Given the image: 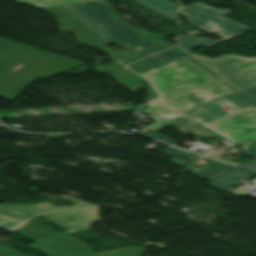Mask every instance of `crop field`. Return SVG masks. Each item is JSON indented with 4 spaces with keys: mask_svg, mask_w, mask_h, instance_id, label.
Instances as JSON below:
<instances>
[{
    "mask_svg": "<svg viewBox=\"0 0 256 256\" xmlns=\"http://www.w3.org/2000/svg\"><path fill=\"white\" fill-rule=\"evenodd\" d=\"M43 10L57 13L62 18L59 20L62 28L76 33L85 43L96 46L115 60L154 46L119 27L105 10L101 0ZM102 43H116L126 50L114 52L99 45Z\"/></svg>",
    "mask_w": 256,
    "mask_h": 256,
    "instance_id": "8a807250",
    "label": "crop field"
},
{
    "mask_svg": "<svg viewBox=\"0 0 256 256\" xmlns=\"http://www.w3.org/2000/svg\"><path fill=\"white\" fill-rule=\"evenodd\" d=\"M74 206L59 208L44 202L38 205L0 204V227L12 231L28 220L42 214L68 233L91 228L89 222L101 221L96 205L68 196Z\"/></svg>",
    "mask_w": 256,
    "mask_h": 256,
    "instance_id": "ac0d7876",
    "label": "crop field"
},
{
    "mask_svg": "<svg viewBox=\"0 0 256 256\" xmlns=\"http://www.w3.org/2000/svg\"><path fill=\"white\" fill-rule=\"evenodd\" d=\"M15 232L33 240L36 238L51 236L52 231L32 221L28 222ZM60 256H86L94 254L89 246L64 230L55 232ZM27 247L34 248L47 256H57L53 237L34 241Z\"/></svg>",
    "mask_w": 256,
    "mask_h": 256,
    "instance_id": "34b2d1b8",
    "label": "crop field"
},
{
    "mask_svg": "<svg viewBox=\"0 0 256 256\" xmlns=\"http://www.w3.org/2000/svg\"><path fill=\"white\" fill-rule=\"evenodd\" d=\"M227 11L211 8L197 2L181 8L178 13L184 14L190 23L209 30L225 39L251 30L247 26L221 17Z\"/></svg>",
    "mask_w": 256,
    "mask_h": 256,
    "instance_id": "412701ff",
    "label": "crop field"
},
{
    "mask_svg": "<svg viewBox=\"0 0 256 256\" xmlns=\"http://www.w3.org/2000/svg\"><path fill=\"white\" fill-rule=\"evenodd\" d=\"M208 126L236 142L251 138L256 136V107L234 112Z\"/></svg>",
    "mask_w": 256,
    "mask_h": 256,
    "instance_id": "f4fd0767",
    "label": "crop field"
},
{
    "mask_svg": "<svg viewBox=\"0 0 256 256\" xmlns=\"http://www.w3.org/2000/svg\"><path fill=\"white\" fill-rule=\"evenodd\" d=\"M140 74L154 85L161 97L195 87L182 72L165 65Z\"/></svg>",
    "mask_w": 256,
    "mask_h": 256,
    "instance_id": "dd49c442",
    "label": "crop field"
},
{
    "mask_svg": "<svg viewBox=\"0 0 256 256\" xmlns=\"http://www.w3.org/2000/svg\"><path fill=\"white\" fill-rule=\"evenodd\" d=\"M187 56L197 60L220 78L256 67V57L248 58L237 55H224L210 59L191 54Z\"/></svg>",
    "mask_w": 256,
    "mask_h": 256,
    "instance_id": "e52e79f7",
    "label": "crop field"
},
{
    "mask_svg": "<svg viewBox=\"0 0 256 256\" xmlns=\"http://www.w3.org/2000/svg\"><path fill=\"white\" fill-rule=\"evenodd\" d=\"M218 100L235 111L253 106L238 94L234 93L223 98L207 102L183 115L196 118L203 123L209 122L227 113L221 108L222 106L216 103Z\"/></svg>",
    "mask_w": 256,
    "mask_h": 256,
    "instance_id": "d8731c3e",
    "label": "crop field"
},
{
    "mask_svg": "<svg viewBox=\"0 0 256 256\" xmlns=\"http://www.w3.org/2000/svg\"><path fill=\"white\" fill-rule=\"evenodd\" d=\"M207 101L208 100L197 88L162 99V102L165 106L180 114H183ZM185 102H188L189 105L183 104Z\"/></svg>",
    "mask_w": 256,
    "mask_h": 256,
    "instance_id": "5a996713",
    "label": "crop field"
},
{
    "mask_svg": "<svg viewBox=\"0 0 256 256\" xmlns=\"http://www.w3.org/2000/svg\"><path fill=\"white\" fill-rule=\"evenodd\" d=\"M165 65L181 70L196 86L217 79L197 63L182 57Z\"/></svg>",
    "mask_w": 256,
    "mask_h": 256,
    "instance_id": "3316defc",
    "label": "crop field"
},
{
    "mask_svg": "<svg viewBox=\"0 0 256 256\" xmlns=\"http://www.w3.org/2000/svg\"><path fill=\"white\" fill-rule=\"evenodd\" d=\"M172 125H174L178 129L182 130L184 132V134H186L188 132H191V131L203 126L202 123H200L199 121L189 119V118H185L183 116H179V117H177L173 120H170V121L154 128L153 132L148 133L144 136L154 138V139H158V140H162V141H165L167 143L173 144V143H175V141H173L171 139H168V138H165L162 135L156 133V132H158L160 130H163L167 127H170Z\"/></svg>",
    "mask_w": 256,
    "mask_h": 256,
    "instance_id": "28ad6ade",
    "label": "crop field"
},
{
    "mask_svg": "<svg viewBox=\"0 0 256 256\" xmlns=\"http://www.w3.org/2000/svg\"><path fill=\"white\" fill-rule=\"evenodd\" d=\"M184 56L183 54L174 53L172 51L166 50L160 53L153 54L137 63L128 65L127 68L140 73L145 70L157 67L159 65L165 64L177 58Z\"/></svg>",
    "mask_w": 256,
    "mask_h": 256,
    "instance_id": "d1516ede",
    "label": "crop field"
},
{
    "mask_svg": "<svg viewBox=\"0 0 256 256\" xmlns=\"http://www.w3.org/2000/svg\"><path fill=\"white\" fill-rule=\"evenodd\" d=\"M106 6L108 7V9L110 10L112 16L117 20V22H119L124 28L136 33L137 35L141 36L142 38H144L145 40L149 41V42H152V43H156L162 47H170L172 46V44L170 43H167L163 40H161V38L163 36H161L160 34L158 33H149L139 27H136V26H132L126 22H124L120 17H118L117 15H115L111 5L108 3L107 0H104Z\"/></svg>",
    "mask_w": 256,
    "mask_h": 256,
    "instance_id": "22f410ed",
    "label": "crop field"
},
{
    "mask_svg": "<svg viewBox=\"0 0 256 256\" xmlns=\"http://www.w3.org/2000/svg\"><path fill=\"white\" fill-rule=\"evenodd\" d=\"M147 114L154 117L157 123L147 126L148 128H154L170 119H173L179 115L172 113L168 108L164 107L159 100L150 102L148 108L143 110Z\"/></svg>",
    "mask_w": 256,
    "mask_h": 256,
    "instance_id": "cbeb9de0",
    "label": "crop field"
},
{
    "mask_svg": "<svg viewBox=\"0 0 256 256\" xmlns=\"http://www.w3.org/2000/svg\"><path fill=\"white\" fill-rule=\"evenodd\" d=\"M134 1L163 15L168 20L172 19L174 17L176 9L180 8L179 6L167 0H143L142 2L140 0H134Z\"/></svg>",
    "mask_w": 256,
    "mask_h": 256,
    "instance_id": "5142ce71",
    "label": "crop field"
},
{
    "mask_svg": "<svg viewBox=\"0 0 256 256\" xmlns=\"http://www.w3.org/2000/svg\"><path fill=\"white\" fill-rule=\"evenodd\" d=\"M176 39L180 41V44L177 45V47L180 48L185 53V55L188 54L191 49L209 46L214 43L225 40L221 38L219 40L212 41L202 37H193V36H186V35L178 36L176 37Z\"/></svg>",
    "mask_w": 256,
    "mask_h": 256,
    "instance_id": "d9b57169",
    "label": "crop field"
},
{
    "mask_svg": "<svg viewBox=\"0 0 256 256\" xmlns=\"http://www.w3.org/2000/svg\"><path fill=\"white\" fill-rule=\"evenodd\" d=\"M205 160L209 161L212 165L204 170L195 171L194 173L209 181L221 176L222 174L236 167V166L221 163L215 160H211L208 158H206Z\"/></svg>",
    "mask_w": 256,
    "mask_h": 256,
    "instance_id": "733c2abd",
    "label": "crop field"
},
{
    "mask_svg": "<svg viewBox=\"0 0 256 256\" xmlns=\"http://www.w3.org/2000/svg\"><path fill=\"white\" fill-rule=\"evenodd\" d=\"M198 89L204 94V96L209 100H214L222 96L234 93L235 91L227 87L223 82H215L209 85L198 87Z\"/></svg>",
    "mask_w": 256,
    "mask_h": 256,
    "instance_id": "4a817a6b",
    "label": "crop field"
},
{
    "mask_svg": "<svg viewBox=\"0 0 256 256\" xmlns=\"http://www.w3.org/2000/svg\"><path fill=\"white\" fill-rule=\"evenodd\" d=\"M224 81L237 91L256 86V70Z\"/></svg>",
    "mask_w": 256,
    "mask_h": 256,
    "instance_id": "bc2a9ffb",
    "label": "crop field"
},
{
    "mask_svg": "<svg viewBox=\"0 0 256 256\" xmlns=\"http://www.w3.org/2000/svg\"><path fill=\"white\" fill-rule=\"evenodd\" d=\"M255 175L256 174L251 172V171L238 168V169H236V170H234V171H232V172H230V173H228V174L218 178V179H220V181L218 179H216V180H214V181H212V182H210L208 184H210V185H212V186L222 190L225 187L234 184L233 182L229 181L232 178L242 176V177H244L246 179H249V178H251V177H253Z\"/></svg>",
    "mask_w": 256,
    "mask_h": 256,
    "instance_id": "214f88e0",
    "label": "crop field"
},
{
    "mask_svg": "<svg viewBox=\"0 0 256 256\" xmlns=\"http://www.w3.org/2000/svg\"><path fill=\"white\" fill-rule=\"evenodd\" d=\"M156 245L161 249H164L165 246H162L161 243H146L144 247H126L119 248L107 252L98 253L99 256H140L144 252L145 246Z\"/></svg>",
    "mask_w": 256,
    "mask_h": 256,
    "instance_id": "92a150f3",
    "label": "crop field"
},
{
    "mask_svg": "<svg viewBox=\"0 0 256 256\" xmlns=\"http://www.w3.org/2000/svg\"><path fill=\"white\" fill-rule=\"evenodd\" d=\"M94 68H95V70L102 72V73H106V72L111 73L112 74L111 77L118 81L135 75L134 73L126 70L125 68H123L122 66L117 64L116 62H113L107 66H94Z\"/></svg>",
    "mask_w": 256,
    "mask_h": 256,
    "instance_id": "dafd665d",
    "label": "crop field"
},
{
    "mask_svg": "<svg viewBox=\"0 0 256 256\" xmlns=\"http://www.w3.org/2000/svg\"><path fill=\"white\" fill-rule=\"evenodd\" d=\"M13 1L32 5V6L38 5L42 7H52V6L75 4V3L87 2V1H93V0H13Z\"/></svg>",
    "mask_w": 256,
    "mask_h": 256,
    "instance_id": "00972430",
    "label": "crop field"
},
{
    "mask_svg": "<svg viewBox=\"0 0 256 256\" xmlns=\"http://www.w3.org/2000/svg\"><path fill=\"white\" fill-rule=\"evenodd\" d=\"M161 49H163V48H159L157 46L150 47V48H147V49H145V50H143V51H141V52H139V53H137L135 55H132L130 57H127V58L121 59V60H117V61L124 65L125 63L134 62L137 59H140V58H142V57H144L146 55H149V54L154 53V52H156L158 50H161Z\"/></svg>",
    "mask_w": 256,
    "mask_h": 256,
    "instance_id": "a9b5d70f",
    "label": "crop field"
},
{
    "mask_svg": "<svg viewBox=\"0 0 256 256\" xmlns=\"http://www.w3.org/2000/svg\"><path fill=\"white\" fill-rule=\"evenodd\" d=\"M140 80L144 81V79H142L140 76L135 75L133 77L122 80L120 82L126 87H128L130 90L134 91L143 85L142 83L139 82Z\"/></svg>",
    "mask_w": 256,
    "mask_h": 256,
    "instance_id": "4177f3b9",
    "label": "crop field"
},
{
    "mask_svg": "<svg viewBox=\"0 0 256 256\" xmlns=\"http://www.w3.org/2000/svg\"><path fill=\"white\" fill-rule=\"evenodd\" d=\"M243 147H245V149L242 151L243 153L256 159V141L243 145Z\"/></svg>",
    "mask_w": 256,
    "mask_h": 256,
    "instance_id": "730fd06b",
    "label": "crop field"
},
{
    "mask_svg": "<svg viewBox=\"0 0 256 256\" xmlns=\"http://www.w3.org/2000/svg\"><path fill=\"white\" fill-rule=\"evenodd\" d=\"M243 95H245L247 98L252 100L254 103H256V87L246 89L243 91H240Z\"/></svg>",
    "mask_w": 256,
    "mask_h": 256,
    "instance_id": "eef30255",
    "label": "crop field"
},
{
    "mask_svg": "<svg viewBox=\"0 0 256 256\" xmlns=\"http://www.w3.org/2000/svg\"><path fill=\"white\" fill-rule=\"evenodd\" d=\"M169 160L175 161V162H177L178 164H180V165H182V166H184L185 163L188 164L187 166H189V165L192 164L191 162H187V161H185V160H183V159H181V158H179V157H172V158H170ZM187 166H185V167H187Z\"/></svg>",
    "mask_w": 256,
    "mask_h": 256,
    "instance_id": "ae1a2a85",
    "label": "crop field"
},
{
    "mask_svg": "<svg viewBox=\"0 0 256 256\" xmlns=\"http://www.w3.org/2000/svg\"><path fill=\"white\" fill-rule=\"evenodd\" d=\"M226 189L228 190L226 193L231 194L233 196L248 193V192L241 191V190L234 191V190L230 189V187H228Z\"/></svg>",
    "mask_w": 256,
    "mask_h": 256,
    "instance_id": "d3111659",
    "label": "crop field"
},
{
    "mask_svg": "<svg viewBox=\"0 0 256 256\" xmlns=\"http://www.w3.org/2000/svg\"><path fill=\"white\" fill-rule=\"evenodd\" d=\"M163 149H166V150H168V151H171V152H174V153H177V154H180V155L187 154V153H185V152H182V151H179V150L170 148V147L163 148Z\"/></svg>",
    "mask_w": 256,
    "mask_h": 256,
    "instance_id": "750c4746",
    "label": "crop field"
},
{
    "mask_svg": "<svg viewBox=\"0 0 256 256\" xmlns=\"http://www.w3.org/2000/svg\"><path fill=\"white\" fill-rule=\"evenodd\" d=\"M243 166H246V167H249V168H252V169H256V160H253Z\"/></svg>",
    "mask_w": 256,
    "mask_h": 256,
    "instance_id": "bd1437ed",
    "label": "crop field"
},
{
    "mask_svg": "<svg viewBox=\"0 0 256 256\" xmlns=\"http://www.w3.org/2000/svg\"><path fill=\"white\" fill-rule=\"evenodd\" d=\"M149 90L151 91L152 96L148 97V99L152 100V99H154V98H158V97H157V94L153 91L152 88H150Z\"/></svg>",
    "mask_w": 256,
    "mask_h": 256,
    "instance_id": "1d83c4d3",
    "label": "crop field"
},
{
    "mask_svg": "<svg viewBox=\"0 0 256 256\" xmlns=\"http://www.w3.org/2000/svg\"><path fill=\"white\" fill-rule=\"evenodd\" d=\"M170 49H172V50H174V51H177V52H181V53H183L181 50H179L176 46H174V47H172V48H170Z\"/></svg>",
    "mask_w": 256,
    "mask_h": 256,
    "instance_id": "120bbe31",
    "label": "crop field"
},
{
    "mask_svg": "<svg viewBox=\"0 0 256 256\" xmlns=\"http://www.w3.org/2000/svg\"><path fill=\"white\" fill-rule=\"evenodd\" d=\"M252 139H255V137H254V138H251V139H248V140H246V141H249V140H252ZM246 141H243V142H246ZM243 142H240V143H243ZM240 143H237L236 145H238V144H240Z\"/></svg>",
    "mask_w": 256,
    "mask_h": 256,
    "instance_id": "d32e631a",
    "label": "crop field"
},
{
    "mask_svg": "<svg viewBox=\"0 0 256 256\" xmlns=\"http://www.w3.org/2000/svg\"><path fill=\"white\" fill-rule=\"evenodd\" d=\"M24 61H25V59H23V61H22L21 64L19 65V67L23 64Z\"/></svg>",
    "mask_w": 256,
    "mask_h": 256,
    "instance_id": "5866460e",
    "label": "crop field"
},
{
    "mask_svg": "<svg viewBox=\"0 0 256 256\" xmlns=\"http://www.w3.org/2000/svg\"><path fill=\"white\" fill-rule=\"evenodd\" d=\"M253 182L252 183H255L256 182V179L252 180Z\"/></svg>",
    "mask_w": 256,
    "mask_h": 256,
    "instance_id": "028f5c9d",
    "label": "crop field"
}]
</instances>
